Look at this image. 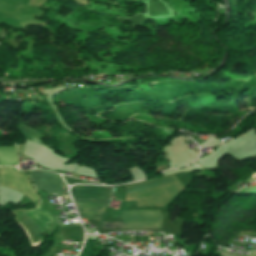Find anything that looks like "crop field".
Segmentation results:
<instances>
[{
    "mask_svg": "<svg viewBox=\"0 0 256 256\" xmlns=\"http://www.w3.org/2000/svg\"><path fill=\"white\" fill-rule=\"evenodd\" d=\"M71 193L81 215L100 221L110 202L109 187L74 186Z\"/></svg>",
    "mask_w": 256,
    "mask_h": 256,
    "instance_id": "8a807250",
    "label": "crop field"
},
{
    "mask_svg": "<svg viewBox=\"0 0 256 256\" xmlns=\"http://www.w3.org/2000/svg\"><path fill=\"white\" fill-rule=\"evenodd\" d=\"M123 222H104L102 228H160V211H122Z\"/></svg>",
    "mask_w": 256,
    "mask_h": 256,
    "instance_id": "ac0d7876",
    "label": "crop field"
},
{
    "mask_svg": "<svg viewBox=\"0 0 256 256\" xmlns=\"http://www.w3.org/2000/svg\"><path fill=\"white\" fill-rule=\"evenodd\" d=\"M25 212L32 219V221L37 225V227L42 231V233H45L52 219V216L50 215V213L40 205L34 211H25ZM25 212L24 211L22 212L21 220L18 223L22 226V228L30 238L31 244L33 245L41 241L40 236H42L43 234L35 226V224L30 220V218L25 214Z\"/></svg>",
    "mask_w": 256,
    "mask_h": 256,
    "instance_id": "34b2d1b8",
    "label": "crop field"
},
{
    "mask_svg": "<svg viewBox=\"0 0 256 256\" xmlns=\"http://www.w3.org/2000/svg\"><path fill=\"white\" fill-rule=\"evenodd\" d=\"M30 176L36 188L49 194L58 193L59 197L64 196L62 178L59 175L45 171H33Z\"/></svg>",
    "mask_w": 256,
    "mask_h": 256,
    "instance_id": "412701ff",
    "label": "crop field"
},
{
    "mask_svg": "<svg viewBox=\"0 0 256 256\" xmlns=\"http://www.w3.org/2000/svg\"><path fill=\"white\" fill-rule=\"evenodd\" d=\"M174 182L175 181L169 175V176H166V177H161V178H157V179H152V180H148V181H143V182L130 184V185H127L125 187H126L127 193H129V192H133V191L152 188V187L161 186V185H165V184H170V183H174Z\"/></svg>",
    "mask_w": 256,
    "mask_h": 256,
    "instance_id": "f4fd0767",
    "label": "crop field"
},
{
    "mask_svg": "<svg viewBox=\"0 0 256 256\" xmlns=\"http://www.w3.org/2000/svg\"><path fill=\"white\" fill-rule=\"evenodd\" d=\"M16 154L14 146L0 147V166H16Z\"/></svg>",
    "mask_w": 256,
    "mask_h": 256,
    "instance_id": "dd49c442",
    "label": "crop field"
},
{
    "mask_svg": "<svg viewBox=\"0 0 256 256\" xmlns=\"http://www.w3.org/2000/svg\"><path fill=\"white\" fill-rule=\"evenodd\" d=\"M15 127L24 136L25 139L43 144L40 140L39 133L36 130L29 128L22 123L17 124Z\"/></svg>",
    "mask_w": 256,
    "mask_h": 256,
    "instance_id": "e52e79f7",
    "label": "crop field"
}]
</instances>
